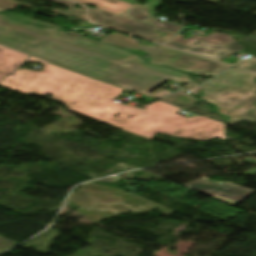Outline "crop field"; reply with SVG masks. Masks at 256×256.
Here are the masks:
<instances>
[{
	"label": "crop field",
	"instance_id": "crop-field-1",
	"mask_svg": "<svg viewBox=\"0 0 256 256\" xmlns=\"http://www.w3.org/2000/svg\"><path fill=\"white\" fill-rule=\"evenodd\" d=\"M27 61L44 63L42 71L18 69L0 85L25 94H53L69 109L99 121L122 128L151 140L156 133L174 137L208 140L217 137L226 140L225 124L204 116L186 119L171 113L178 109L157 101L147 110L115 100L124 90L93 80L47 61L31 56Z\"/></svg>",
	"mask_w": 256,
	"mask_h": 256
},
{
	"label": "crop field",
	"instance_id": "crop-field-2",
	"mask_svg": "<svg viewBox=\"0 0 256 256\" xmlns=\"http://www.w3.org/2000/svg\"><path fill=\"white\" fill-rule=\"evenodd\" d=\"M66 34L18 23L0 15V44L3 46L143 95L168 79L188 83L184 86L188 90L198 87L188 75L150 66L129 52Z\"/></svg>",
	"mask_w": 256,
	"mask_h": 256
},
{
	"label": "crop field",
	"instance_id": "crop-field-3",
	"mask_svg": "<svg viewBox=\"0 0 256 256\" xmlns=\"http://www.w3.org/2000/svg\"><path fill=\"white\" fill-rule=\"evenodd\" d=\"M256 74L231 69L204 86L202 99L219 106L220 113L233 117L227 124L245 119L256 123Z\"/></svg>",
	"mask_w": 256,
	"mask_h": 256
},
{
	"label": "crop field",
	"instance_id": "crop-field-4",
	"mask_svg": "<svg viewBox=\"0 0 256 256\" xmlns=\"http://www.w3.org/2000/svg\"><path fill=\"white\" fill-rule=\"evenodd\" d=\"M129 40L133 42L130 43ZM100 41L107 42L118 47L145 51L151 55L152 60L150 62L169 65L184 71H195L204 75H214L228 67L222 63L195 57L163 46L152 48L138 45L135 44L134 40L127 38L120 33L107 35Z\"/></svg>",
	"mask_w": 256,
	"mask_h": 256
},
{
	"label": "crop field",
	"instance_id": "crop-field-5",
	"mask_svg": "<svg viewBox=\"0 0 256 256\" xmlns=\"http://www.w3.org/2000/svg\"><path fill=\"white\" fill-rule=\"evenodd\" d=\"M89 17L90 20L96 24H100L109 28H113L122 32H126L132 35H136L160 43L166 42L170 37H172L175 34L160 28H156L134 20L123 18L121 16L98 9H89ZM153 30L167 33L168 36L163 39H159V35L153 33Z\"/></svg>",
	"mask_w": 256,
	"mask_h": 256
},
{
	"label": "crop field",
	"instance_id": "crop-field-6",
	"mask_svg": "<svg viewBox=\"0 0 256 256\" xmlns=\"http://www.w3.org/2000/svg\"><path fill=\"white\" fill-rule=\"evenodd\" d=\"M183 186L198 192L208 193L212 198L225 203L240 202L256 192L255 190L243 188L230 182L224 185H217L204 178L183 184Z\"/></svg>",
	"mask_w": 256,
	"mask_h": 256
},
{
	"label": "crop field",
	"instance_id": "crop-field-7",
	"mask_svg": "<svg viewBox=\"0 0 256 256\" xmlns=\"http://www.w3.org/2000/svg\"><path fill=\"white\" fill-rule=\"evenodd\" d=\"M167 44L218 61L224 59L235 51H240L243 49V47L239 45L235 39H232L220 46L204 41H197L190 46H185L172 41L168 42Z\"/></svg>",
	"mask_w": 256,
	"mask_h": 256
},
{
	"label": "crop field",
	"instance_id": "crop-field-8",
	"mask_svg": "<svg viewBox=\"0 0 256 256\" xmlns=\"http://www.w3.org/2000/svg\"><path fill=\"white\" fill-rule=\"evenodd\" d=\"M29 56L0 45V81L11 75Z\"/></svg>",
	"mask_w": 256,
	"mask_h": 256
},
{
	"label": "crop field",
	"instance_id": "crop-field-9",
	"mask_svg": "<svg viewBox=\"0 0 256 256\" xmlns=\"http://www.w3.org/2000/svg\"><path fill=\"white\" fill-rule=\"evenodd\" d=\"M158 14H159L158 12L151 11V10L134 5L124 14H122V16L135 19V20H138L147 24H151L157 27H161V28H167L175 31H178L180 29L178 27H174L171 25L158 22L157 19L155 18V16Z\"/></svg>",
	"mask_w": 256,
	"mask_h": 256
},
{
	"label": "crop field",
	"instance_id": "crop-field-10",
	"mask_svg": "<svg viewBox=\"0 0 256 256\" xmlns=\"http://www.w3.org/2000/svg\"><path fill=\"white\" fill-rule=\"evenodd\" d=\"M74 1H77L82 4H94L97 6L98 9H102L118 15H121L131 6H133V4L122 2L119 0H114L117 3H111V2H108V0H74Z\"/></svg>",
	"mask_w": 256,
	"mask_h": 256
},
{
	"label": "crop field",
	"instance_id": "crop-field-11",
	"mask_svg": "<svg viewBox=\"0 0 256 256\" xmlns=\"http://www.w3.org/2000/svg\"><path fill=\"white\" fill-rule=\"evenodd\" d=\"M183 37V35L178 34L174 39H172L173 41H177L180 43H183L185 45H190L193 42L197 41V40H204V41H208V42H212L215 43L217 45H220L230 39H232V36L227 35V34H221V33H213L207 37H200V36H196L193 38H188V39H181Z\"/></svg>",
	"mask_w": 256,
	"mask_h": 256
},
{
	"label": "crop field",
	"instance_id": "crop-field-12",
	"mask_svg": "<svg viewBox=\"0 0 256 256\" xmlns=\"http://www.w3.org/2000/svg\"><path fill=\"white\" fill-rule=\"evenodd\" d=\"M162 101H165L167 103L176 105L178 107H181L183 109L189 107L193 103H195V100L193 99L192 96L188 95L184 90H181L173 95H170Z\"/></svg>",
	"mask_w": 256,
	"mask_h": 256
},
{
	"label": "crop field",
	"instance_id": "crop-field-13",
	"mask_svg": "<svg viewBox=\"0 0 256 256\" xmlns=\"http://www.w3.org/2000/svg\"><path fill=\"white\" fill-rule=\"evenodd\" d=\"M51 1L64 4V5H66V6L71 8L69 11L52 10V12H57V13H61V14H65V15L71 16V17H75V18H80V19L86 20V18H85V11L74 9V7H73L74 3H70V2H67V1H64V0H51Z\"/></svg>",
	"mask_w": 256,
	"mask_h": 256
},
{
	"label": "crop field",
	"instance_id": "crop-field-14",
	"mask_svg": "<svg viewBox=\"0 0 256 256\" xmlns=\"http://www.w3.org/2000/svg\"><path fill=\"white\" fill-rule=\"evenodd\" d=\"M122 1H126V2H129V3H133V4H136V5L142 6V5L138 4V2H136L134 0H122ZM145 1H147L148 3L143 5L142 7H146V8L152 9V10L160 7V5H161V1L160 0H145Z\"/></svg>",
	"mask_w": 256,
	"mask_h": 256
},
{
	"label": "crop field",
	"instance_id": "crop-field-15",
	"mask_svg": "<svg viewBox=\"0 0 256 256\" xmlns=\"http://www.w3.org/2000/svg\"><path fill=\"white\" fill-rule=\"evenodd\" d=\"M255 65H256V61H242V62L236 64V66L243 67V68H248V67H252Z\"/></svg>",
	"mask_w": 256,
	"mask_h": 256
},
{
	"label": "crop field",
	"instance_id": "crop-field-16",
	"mask_svg": "<svg viewBox=\"0 0 256 256\" xmlns=\"http://www.w3.org/2000/svg\"><path fill=\"white\" fill-rule=\"evenodd\" d=\"M159 90H161V88L155 90L154 92H157V91H159ZM162 90H163V89H162ZM154 92H152V93H154ZM170 92H172V91H170V90H167V91L163 90L162 92L157 93V94H155V95H152V96H150V97H153V98H155V99H158V98H160V97H162V96H164V95H166V94H168V93H170ZM152 93H151V94H152Z\"/></svg>",
	"mask_w": 256,
	"mask_h": 256
},
{
	"label": "crop field",
	"instance_id": "crop-field-17",
	"mask_svg": "<svg viewBox=\"0 0 256 256\" xmlns=\"http://www.w3.org/2000/svg\"><path fill=\"white\" fill-rule=\"evenodd\" d=\"M195 32L198 34H205V32H200V31H196V30H195Z\"/></svg>",
	"mask_w": 256,
	"mask_h": 256
},
{
	"label": "crop field",
	"instance_id": "crop-field-18",
	"mask_svg": "<svg viewBox=\"0 0 256 256\" xmlns=\"http://www.w3.org/2000/svg\"><path fill=\"white\" fill-rule=\"evenodd\" d=\"M249 70L256 72V67L249 69Z\"/></svg>",
	"mask_w": 256,
	"mask_h": 256
},
{
	"label": "crop field",
	"instance_id": "crop-field-19",
	"mask_svg": "<svg viewBox=\"0 0 256 256\" xmlns=\"http://www.w3.org/2000/svg\"><path fill=\"white\" fill-rule=\"evenodd\" d=\"M0 12H3V10H0Z\"/></svg>",
	"mask_w": 256,
	"mask_h": 256
}]
</instances>
